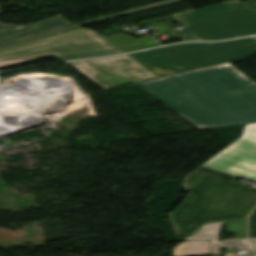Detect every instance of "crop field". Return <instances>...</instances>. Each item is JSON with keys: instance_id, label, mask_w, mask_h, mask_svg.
I'll return each mask as SVG.
<instances>
[{"instance_id": "obj_1", "label": "crop field", "mask_w": 256, "mask_h": 256, "mask_svg": "<svg viewBox=\"0 0 256 256\" xmlns=\"http://www.w3.org/2000/svg\"><path fill=\"white\" fill-rule=\"evenodd\" d=\"M135 85L200 130L256 122V83L229 63Z\"/></svg>"}, {"instance_id": "obj_2", "label": "crop field", "mask_w": 256, "mask_h": 256, "mask_svg": "<svg viewBox=\"0 0 256 256\" xmlns=\"http://www.w3.org/2000/svg\"><path fill=\"white\" fill-rule=\"evenodd\" d=\"M237 176L201 166L184 179L191 192L176 212H169L178 239L192 234L205 222L244 218L256 203V189L234 182Z\"/></svg>"}, {"instance_id": "obj_3", "label": "crop field", "mask_w": 256, "mask_h": 256, "mask_svg": "<svg viewBox=\"0 0 256 256\" xmlns=\"http://www.w3.org/2000/svg\"><path fill=\"white\" fill-rule=\"evenodd\" d=\"M254 53L256 40L247 38L223 43L179 44L128 56L161 77L243 59Z\"/></svg>"}, {"instance_id": "obj_4", "label": "crop field", "mask_w": 256, "mask_h": 256, "mask_svg": "<svg viewBox=\"0 0 256 256\" xmlns=\"http://www.w3.org/2000/svg\"><path fill=\"white\" fill-rule=\"evenodd\" d=\"M90 29H76L0 51V67L57 55L113 49Z\"/></svg>"}, {"instance_id": "obj_5", "label": "crop field", "mask_w": 256, "mask_h": 256, "mask_svg": "<svg viewBox=\"0 0 256 256\" xmlns=\"http://www.w3.org/2000/svg\"><path fill=\"white\" fill-rule=\"evenodd\" d=\"M198 41L223 40L256 34V11L236 10L229 2L194 11L185 28Z\"/></svg>"}, {"instance_id": "obj_6", "label": "crop field", "mask_w": 256, "mask_h": 256, "mask_svg": "<svg viewBox=\"0 0 256 256\" xmlns=\"http://www.w3.org/2000/svg\"><path fill=\"white\" fill-rule=\"evenodd\" d=\"M70 64L104 89L156 77L127 55Z\"/></svg>"}, {"instance_id": "obj_7", "label": "crop field", "mask_w": 256, "mask_h": 256, "mask_svg": "<svg viewBox=\"0 0 256 256\" xmlns=\"http://www.w3.org/2000/svg\"><path fill=\"white\" fill-rule=\"evenodd\" d=\"M203 166L256 181V123L246 124L241 138Z\"/></svg>"}, {"instance_id": "obj_8", "label": "crop field", "mask_w": 256, "mask_h": 256, "mask_svg": "<svg viewBox=\"0 0 256 256\" xmlns=\"http://www.w3.org/2000/svg\"><path fill=\"white\" fill-rule=\"evenodd\" d=\"M66 25L70 23L60 16L32 25L8 26L0 23V46Z\"/></svg>"}, {"instance_id": "obj_9", "label": "crop field", "mask_w": 256, "mask_h": 256, "mask_svg": "<svg viewBox=\"0 0 256 256\" xmlns=\"http://www.w3.org/2000/svg\"><path fill=\"white\" fill-rule=\"evenodd\" d=\"M226 222L227 221L204 224L197 232L184 241L209 239L211 242L212 254H220V249L247 248V239H232L218 242L221 224Z\"/></svg>"}, {"instance_id": "obj_10", "label": "crop field", "mask_w": 256, "mask_h": 256, "mask_svg": "<svg viewBox=\"0 0 256 256\" xmlns=\"http://www.w3.org/2000/svg\"><path fill=\"white\" fill-rule=\"evenodd\" d=\"M210 254L211 249L209 240L182 242L179 246L173 249V256H199Z\"/></svg>"}, {"instance_id": "obj_11", "label": "crop field", "mask_w": 256, "mask_h": 256, "mask_svg": "<svg viewBox=\"0 0 256 256\" xmlns=\"http://www.w3.org/2000/svg\"><path fill=\"white\" fill-rule=\"evenodd\" d=\"M104 39L117 48L135 45H147L156 42L154 37L134 39L129 35L108 36Z\"/></svg>"}, {"instance_id": "obj_12", "label": "crop field", "mask_w": 256, "mask_h": 256, "mask_svg": "<svg viewBox=\"0 0 256 256\" xmlns=\"http://www.w3.org/2000/svg\"><path fill=\"white\" fill-rule=\"evenodd\" d=\"M227 232H235L236 238H247V219L228 221Z\"/></svg>"}, {"instance_id": "obj_13", "label": "crop field", "mask_w": 256, "mask_h": 256, "mask_svg": "<svg viewBox=\"0 0 256 256\" xmlns=\"http://www.w3.org/2000/svg\"><path fill=\"white\" fill-rule=\"evenodd\" d=\"M119 53H122V52L119 49H114V50H106V51H99V52L79 54V55L63 56V57H60V58H61L62 61H66V60H72V59L113 55V54H119Z\"/></svg>"}, {"instance_id": "obj_14", "label": "crop field", "mask_w": 256, "mask_h": 256, "mask_svg": "<svg viewBox=\"0 0 256 256\" xmlns=\"http://www.w3.org/2000/svg\"><path fill=\"white\" fill-rule=\"evenodd\" d=\"M249 238H256V208L249 217Z\"/></svg>"}, {"instance_id": "obj_15", "label": "crop field", "mask_w": 256, "mask_h": 256, "mask_svg": "<svg viewBox=\"0 0 256 256\" xmlns=\"http://www.w3.org/2000/svg\"><path fill=\"white\" fill-rule=\"evenodd\" d=\"M193 11H189V12H185V13H180V14H175V15H173V17H175L177 20L182 22L184 27H186L190 23L191 15H192Z\"/></svg>"}, {"instance_id": "obj_16", "label": "crop field", "mask_w": 256, "mask_h": 256, "mask_svg": "<svg viewBox=\"0 0 256 256\" xmlns=\"http://www.w3.org/2000/svg\"><path fill=\"white\" fill-rule=\"evenodd\" d=\"M158 45L159 44L148 46V47L137 46V47H131V48H123V49H120V50L123 51L124 53H127V52H131V51H136V50H140V49H145V48H149V47L158 46Z\"/></svg>"}, {"instance_id": "obj_17", "label": "crop field", "mask_w": 256, "mask_h": 256, "mask_svg": "<svg viewBox=\"0 0 256 256\" xmlns=\"http://www.w3.org/2000/svg\"><path fill=\"white\" fill-rule=\"evenodd\" d=\"M236 9H240V8H247L248 6H246L245 4H243L242 2L235 0V1H231L230 2Z\"/></svg>"}, {"instance_id": "obj_18", "label": "crop field", "mask_w": 256, "mask_h": 256, "mask_svg": "<svg viewBox=\"0 0 256 256\" xmlns=\"http://www.w3.org/2000/svg\"><path fill=\"white\" fill-rule=\"evenodd\" d=\"M256 250V239H249V251Z\"/></svg>"}, {"instance_id": "obj_19", "label": "crop field", "mask_w": 256, "mask_h": 256, "mask_svg": "<svg viewBox=\"0 0 256 256\" xmlns=\"http://www.w3.org/2000/svg\"><path fill=\"white\" fill-rule=\"evenodd\" d=\"M243 3L256 10V0H246Z\"/></svg>"}, {"instance_id": "obj_20", "label": "crop field", "mask_w": 256, "mask_h": 256, "mask_svg": "<svg viewBox=\"0 0 256 256\" xmlns=\"http://www.w3.org/2000/svg\"><path fill=\"white\" fill-rule=\"evenodd\" d=\"M156 30H157L158 32H160V33L172 31L168 26L161 27V28H157Z\"/></svg>"}, {"instance_id": "obj_21", "label": "crop field", "mask_w": 256, "mask_h": 256, "mask_svg": "<svg viewBox=\"0 0 256 256\" xmlns=\"http://www.w3.org/2000/svg\"><path fill=\"white\" fill-rule=\"evenodd\" d=\"M178 32H180L182 35H184V36H188V35H190L189 33H187L184 29H182V30H178Z\"/></svg>"}, {"instance_id": "obj_22", "label": "crop field", "mask_w": 256, "mask_h": 256, "mask_svg": "<svg viewBox=\"0 0 256 256\" xmlns=\"http://www.w3.org/2000/svg\"><path fill=\"white\" fill-rule=\"evenodd\" d=\"M253 254H254V256H256V252H254Z\"/></svg>"}]
</instances>
